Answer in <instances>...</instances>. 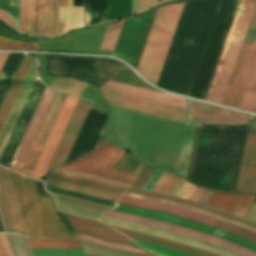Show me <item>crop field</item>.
Segmentation results:
<instances>
[{"label":"crop field","mask_w":256,"mask_h":256,"mask_svg":"<svg viewBox=\"0 0 256 256\" xmlns=\"http://www.w3.org/2000/svg\"><path fill=\"white\" fill-rule=\"evenodd\" d=\"M116 202L178 215L193 221H197L209 226H213V227H215V225L218 223V220H215L206 216H202V215H199L178 207L170 206V205L141 201V200L131 199L123 196H121ZM216 228L229 231L231 233L246 237L256 242V234L246 229H243L241 227L233 226V225L219 221V223L216 225Z\"/></svg>","instance_id":"crop-field-11"},{"label":"crop field","mask_w":256,"mask_h":256,"mask_svg":"<svg viewBox=\"0 0 256 256\" xmlns=\"http://www.w3.org/2000/svg\"><path fill=\"white\" fill-rule=\"evenodd\" d=\"M66 95V93L58 90L56 91L50 107L46 113V116L42 122V125L39 129V132L24 163V166L20 172L21 174L29 177L31 176Z\"/></svg>","instance_id":"crop-field-14"},{"label":"crop field","mask_w":256,"mask_h":256,"mask_svg":"<svg viewBox=\"0 0 256 256\" xmlns=\"http://www.w3.org/2000/svg\"><path fill=\"white\" fill-rule=\"evenodd\" d=\"M213 190H209L207 189V191L205 192V194L202 196V198L199 200V203H203L205 204L206 201L210 198V196L213 194Z\"/></svg>","instance_id":"crop-field-44"},{"label":"crop field","mask_w":256,"mask_h":256,"mask_svg":"<svg viewBox=\"0 0 256 256\" xmlns=\"http://www.w3.org/2000/svg\"><path fill=\"white\" fill-rule=\"evenodd\" d=\"M83 26V7H73V0H60V35Z\"/></svg>","instance_id":"crop-field-23"},{"label":"crop field","mask_w":256,"mask_h":256,"mask_svg":"<svg viewBox=\"0 0 256 256\" xmlns=\"http://www.w3.org/2000/svg\"><path fill=\"white\" fill-rule=\"evenodd\" d=\"M113 228L120 231L121 233L125 234L126 236H128L130 238L157 244V245H161V246H165V247H169V248H173L178 251H181V252H184L187 254H191L194 256H216V255H213L210 253H206V252L191 248V247L183 245V244L163 240L160 238H156V237H152V236H148V235H144V234H140V233H136V232L120 229V228H115V227H113Z\"/></svg>","instance_id":"crop-field-25"},{"label":"crop field","mask_w":256,"mask_h":256,"mask_svg":"<svg viewBox=\"0 0 256 256\" xmlns=\"http://www.w3.org/2000/svg\"><path fill=\"white\" fill-rule=\"evenodd\" d=\"M129 153V152H128ZM127 152L121 157L109 173L110 176L131 180L140 162Z\"/></svg>","instance_id":"crop-field-27"},{"label":"crop field","mask_w":256,"mask_h":256,"mask_svg":"<svg viewBox=\"0 0 256 256\" xmlns=\"http://www.w3.org/2000/svg\"><path fill=\"white\" fill-rule=\"evenodd\" d=\"M255 6L256 0H240L205 100L222 103Z\"/></svg>","instance_id":"crop-field-6"},{"label":"crop field","mask_w":256,"mask_h":256,"mask_svg":"<svg viewBox=\"0 0 256 256\" xmlns=\"http://www.w3.org/2000/svg\"><path fill=\"white\" fill-rule=\"evenodd\" d=\"M0 251H1L3 256H7L5 251H4V249H3V247H2V245H1V243H0Z\"/></svg>","instance_id":"crop-field-47"},{"label":"crop field","mask_w":256,"mask_h":256,"mask_svg":"<svg viewBox=\"0 0 256 256\" xmlns=\"http://www.w3.org/2000/svg\"><path fill=\"white\" fill-rule=\"evenodd\" d=\"M255 197L256 195L242 193L234 208L232 209L231 214L245 218Z\"/></svg>","instance_id":"crop-field-36"},{"label":"crop field","mask_w":256,"mask_h":256,"mask_svg":"<svg viewBox=\"0 0 256 256\" xmlns=\"http://www.w3.org/2000/svg\"><path fill=\"white\" fill-rule=\"evenodd\" d=\"M0 256H2L1 253H0Z\"/></svg>","instance_id":"crop-field-48"},{"label":"crop field","mask_w":256,"mask_h":256,"mask_svg":"<svg viewBox=\"0 0 256 256\" xmlns=\"http://www.w3.org/2000/svg\"><path fill=\"white\" fill-rule=\"evenodd\" d=\"M155 168L144 166L133 187L143 189Z\"/></svg>","instance_id":"crop-field-39"},{"label":"crop field","mask_w":256,"mask_h":256,"mask_svg":"<svg viewBox=\"0 0 256 256\" xmlns=\"http://www.w3.org/2000/svg\"><path fill=\"white\" fill-rule=\"evenodd\" d=\"M126 191L131 192V193H135V194H141V195H146V196H150V197L167 199V200L179 202V203L189 205V206H192V207H195V208H198V209H202V210H205V211H208V212L220 215L222 217H225V218L237 221V222H241V223H244V224H247L249 226H252V227L256 228V224L251 223L247 220L228 215V214H226L224 212H221L219 210H215V209H212V208H209L207 206L200 205V204H197V203H194V202H191V201H187V200H183V199H179V198H175V197H170V196H165V195H160V194H155V193H150V192H146V191H140V190H136V189H132V188H129Z\"/></svg>","instance_id":"crop-field-26"},{"label":"crop field","mask_w":256,"mask_h":256,"mask_svg":"<svg viewBox=\"0 0 256 256\" xmlns=\"http://www.w3.org/2000/svg\"><path fill=\"white\" fill-rule=\"evenodd\" d=\"M124 20V19H123ZM123 20H121L120 22L116 23V24H109L101 49L103 51H109L112 52L114 45L116 43L120 28L122 26Z\"/></svg>","instance_id":"crop-field-33"},{"label":"crop field","mask_w":256,"mask_h":256,"mask_svg":"<svg viewBox=\"0 0 256 256\" xmlns=\"http://www.w3.org/2000/svg\"><path fill=\"white\" fill-rule=\"evenodd\" d=\"M56 171H62V172H68V173H73V174H79V175H82V176L92 177V178H96V179H99V180H103V181H106V182H109V183H112V184H116V185H119V186H123V187H126V188L131 187V186H129V185H125V184L113 182V181H110V180H106V179H103V178H99V177H95V176H91V175H87V174H83V173H79V172H75V171H71V170L57 169ZM56 171H52L51 173L67 175V176H71V177H75V178H80V179H86V180L98 182V183H101V184H104V185H107V186L116 187V188L122 189V190H124V191L126 190V188L119 187V186H116V185H112V184H109V183H106V182H102V181H99V180H96V179L87 178V177H82V176H77V175H72V174H66V173L56 172Z\"/></svg>","instance_id":"crop-field-37"},{"label":"crop field","mask_w":256,"mask_h":256,"mask_svg":"<svg viewBox=\"0 0 256 256\" xmlns=\"http://www.w3.org/2000/svg\"><path fill=\"white\" fill-rule=\"evenodd\" d=\"M36 68H37V62L34 60L30 68V71L25 79V82L19 92V95L14 103V106L9 114V117L4 125V128L0 134V159L7 145V142L10 138V135L13 131V128L16 124V121L19 117V114L22 110V107L25 103V100L28 96V93L31 89V86L34 82V79L37 75Z\"/></svg>","instance_id":"crop-field-20"},{"label":"crop field","mask_w":256,"mask_h":256,"mask_svg":"<svg viewBox=\"0 0 256 256\" xmlns=\"http://www.w3.org/2000/svg\"><path fill=\"white\" fill-rule=\"evenodd\" d=\"M124 153L125 151L114 145L108 144L103 140L102 144L96 150L61 168L80 171L133 185V182H126L107 176L112 167Z\"/></svg>","instance_id":"crop-field-8"},{"label":"crop field","mask_w":256,"mask_h":256,"mask_svg":"<svg viewBox=\"0 0 256 256\" xmlns=\"http://www.w3.org/2000/svg\"><path fill=\"white\" fill-rule=\"evenodd\" d=\"M44 181H45V184H47V185L61 187V188H65V189H69V190H73V191H77V192H81V193H85V194H89V195H93V196L113 200V201H115L117 199L116 196L107 195V194H104V193H101V192H98V191H94V190H91V189H87V188L77 187V186H73V185H69V184H65V183H60V182L49 181L47 179H45Z\"/></svg>","instance_id":"crop-field-35"},{"label":"crop field","mask_w":256,"mask_h":256,"mask_svg":"<svg viewBox=\"0 0 256 256\" xmlns=\"http://www.w3.org/2000/svg\"><path fill=\"white\" fill-rule=\"evenodd\" d=\"M76 236L83 237V240H87V241H91V242H95V243H99V244H103V245H107V246H111V247H115V248H120V249H125V250H130V251L137 252V251H135L136 248L125 247V246H121V245H117V244H110V243H106V242H103V241H100V240H97V239H94V238L86 237V236H83V235H79V234H76ZM138 253H141V252H138ZM142 254H146V255H149V256H158L156 254H153L151 252H146V251H144Z\"/></svg>","instance_id":"crop-field-40"},{"label":"crop field","mask_w":256,"mask_h":256,"mask_svg":"<svg viewBox=\"0 0 256 256\" xmlns=\"http://www.w3.org/2000/svg\"><path fill=\"white\" fill-rule=\"evenodd\" d=\"M29 239V238H28ZM31 248H79L82 249L77 240H39L29 239Z\"/></svg>","instance_id":"crop-field-31"},{"label":"crop field","mask_w":256,"mask_h":256,"mask_svg":"<svg viewBox=\"0 0 256 256\" xmlns=\"http://www.w3.org/2000/svg\"><path fill=\"white\" fill-rule=\"evenodd\" d=\"M184 3H172L157 10L136 69L153 84H156Z\"/></svg>","instance_id":"crop-field-5"},{"label":"crop field","mask_w":256,"mask_h":256,"mask_svg":"<svg viewBox=\"0 0 256 256\" xmlns=\"http://www.w3.org/2000/svg\"><path fill=\"white\" fill-rule=\"evenodd\" d=\"M222 0L185 3L157 86L189 93Z\"/></svg>","instance_id":"crop-field-1"},{"label":"crop field","mask_w":256,"mask_h":256,"mask_svg":"<svg viewBox=\"0 0 256 256\" xmlns=\"http://www.w3.org/2000/svg\"><path fill=\"white\" fill-rule=\"evenodd\" d=\"M55 91V89L45 87L38 105L34 111V114L30 120V123L21 140V143L17 149V152L13 158V161L9 167L10 169L18 173L20 172Z\"/></svg>","instance_id":"crop-field-13"},{"label":"crop field","mask_w":256,"mask_h":256,"mask_svg":"<svg viewBox=\"0 0 256 256\" xmlns=\"http://www.w3.org/2000/svg\"><path fill=\"white\" fill-rule=\"evenodd\" d=\"M99 88L108 105L186 121L187 104L174 102V99L187 101L185 98L112 80Z\"/></svg>","instance_id":"crop-field-3"},{"label":"crop field","mask_w":256,"mask_h":256,"mask_svg":"<svg viewBox=\"0 0 256 256\" xmlns=\"http://www.w3.org/2000/svg\"><path fill=\"white\" fill-rule=\"evenodd\" d=\"M154 10L125 18L112 56L135 67Z\"/></svg>","instance_id":"crop-field-7"},{"label":"crop field","mask_w":256,"mask_h":256,"mask_svg":"<svg viewBox=\"0 0 256 256\" xmlns=\"http://www.w3.org/2000/svg\"><path fill=\"white\" fill-rule=\"evenodd\" d=\"M67 225L76 233L94 237L97 239L128 245L142 249L134 244L132 241L127 239L122 234L112 230L111 228L95 221L75 217L73 215L59 213Z\"/></svg>","instance_id":"crop-field-18"},{"label":"crop field","mask_w":256,"mask_h":256,"mask_svg":"<svg viewBox=\"0 0 256 256\" xmlns=\"http://www.w3.org/2000/svg\"><path fill=\"white\" fill-rule=\"evenodd\" d=\"M0 20H2L6 25L10 26L12 29L16 31L12 18L3 11H0Z\"/></svg>","instance_id":"crop-field-42"},{"label":"crop field","mask_w":256,"mask_h":256,"mask_svg":"<svg viewBox=\"0 0 256 256\" xmlns=\"http://www.w3.org/2000/svg\"><path fill=\"white\" fill-rule=\"evenodd\" d=\"M37 36H59L58 0H37Z\"/></svg>","instance_id":"crop-field-22"},{"label":"crop field","mask_w":256,"mask_h":256,"mask_svg":"<svg viewBox=\"0 0 256 256\" xmlns=\"http://www.w3.org/2000/svg\"><path fill=\"white\" fill-rule=\"evenodd\" d=\"M195 189L196 187L186 182L184 186L181 188L178 197L189 200L190 196L192 195Z\"/></svg>","instance_id":"crop-field-41"},{"label":"crop field","mask_w":256,"mask_h":256,"mask_svg":"<svg viewBox=\"0 0 256 256\" xmlns=\"http://www.w3.org/2000/svg\"><path fill=\"white\" fill-rule=\"evenodd\" d=\"M0 50H37L40 51L37 43L18 42L0 36Z\"/></svg>","instance_id":"crop-field-34"},{"label":"crop field","mask_w":256,"mask_h":256,"mask_svg":"<svg viewBox=\"0 0 256 256\" xmlns=\"http://www.w3.org/2000/svg\"><path fill=\"white\" fill-rule=\"evenodd\" d=\"M0 198L11 231L28 236L9 180L7 170L2 167H0Z\"/></svg>","instance_id":"crop-field-19"},{"label":"crop field","mask_w":256,"mask_h":256,"mask_svg":"<svg viewBox=\"0 0 256 256\" xmlns=\"http://www.w3.org/2000/svg\"><path fill=\"white\" fill-rule=\"evenodd\" d=\"M91 105L79 99L46 173L64 165Z\"/></svg>","instance_id":"crop-field-12"},{"label":"crop field","mask_w":256,"mask_h":256,"mask_svg":"<svg viewBox=\"0 0 256 256\" xmlns=\"http://www.w3.org/2000/svg\"><path fill=\"white\" fill-rule=\"evenodd\" d=\"M110 209L116 210V211H121V212H126V213H131V214H135V215H140V216H144V217H149V218L161 220L164 222L181 225V226L191 228L194 230L206 232V233L230 240L232 242L238 243L240 245H243L247 248H250V249L256 251V243L253 241H250L246 238L228 233L226 231L212 228V227H209V226L197 223V222H193V221H190V220L178 217V216L161 213V212H156V211H152V210H147V209H142V208H137V207H132V206H127V205H122V204H118V203H115Z\"/></svg>","instance_id":"crop-field-10"},{"label":"crop field","mask_w":256,"mask_h":256,"mask_svg":"<svg viewBox=\"0 0 256 256\" xmlns=\"http://www.w3.org/2000/svg\"><path fill=\"white\" fill-rule=\"evenodd\" d=\"M104 215L113 217V218H117V219H121V220H125V221H129V222H134V223L162 229V230H166V231H170V232H175V233L191 236V237L203 240V241L214 243L220 247H223L225 249H228L230 251L236 252V253L244 255V256H256V252H254L250 249H247L245 247H242L238 244L229 242L227 240H224V239H221V238H218V237L206 234V233H202V232L190 230V229H187L184 227H180L177 225L168 224V223L160 222V221L149 219V218H144V217H140V216H135V215L111 211V210H108Z\"/></svg>","instance_id":"crop-field-9"},{"label":"crop field","mask_w":256,"mask_h":256,"mask_svg":"<svg viewBox=\"0 0 256 256\" xmlns=\"http://www.w3.org/2000/svg\"><path fill=\"white\" fill-rule=\"evenodd\" d=\"M179 181L180 178L164 172L153 191L171 195Z\"/></svg>","instance_id":"crop-field-32"},{"label":"crop field","mask_w":256,"mask_h":256,"mask_svg":"<svg viewBox=\"0 0 256 256\" xmlns=\"http://www.w3.org/2000/svg\"><path fill=\"white\" fill-rule=\"evenodd\" d=\"M8 54L0 53V70Z\"/></svg>","instance_id":"crop-field-45"},{"label":"crop field","mask_w":256,"mask_h":256,"mask_svg":"<svg viewBox=\"0 0 256 256\" xmlns=\"http://www.w3.org/2000/svg\"><path fill=\"white\" fill-rule=\"evenodd\" d=\"M78 99V97L72 95L67 96L55 122V125L51 131V134L47 140V143L43 149V152L39 158V161L35 167V170L31 176L32 178L38 179L43 176Z\"/></svg>","instance_id":"crop-field-17"},{"label":"crop field","mask_w":256,"mask_h":256,"mask_svg":"<svg viewBox=\"0 0 256 256\" xmlns=\"http://www.w3.org/2000/svg\"><path fill=\"white\" fill-rule=\"evenodd\" d=\"M123 196L178 206V207H181V208H184V209H187V210L199 213V214H203V215H206V216H209V217H212V218H215V219H218V220L230 223V224L241 226L243 228H246V229L251 230V231L256 233V229H254L252 227H249L247 225H244V224H241V223H237V222H234V221H231V220L219 217L217 215H214V214L202 211V210H198V209H195V208H192V207H188V206H185V205H182V204H178V203H175V202H171V201H167V200H161V199H155V198H150V197L141 196V195H135V194L127 193V192H124Z\"/></svg>","instance_id":"crop-field-29"},{"label":"crop field","mask_w":256,"mask_h":256,"mask_svg":"<svg viewBox=\"0 0 256 256\" xmlns=\"http://www.w3.org/2000/svg\"><path fill=\"white\" fill-rule=\"evenodd\" d=\"M251 115L191 101L189 121L203 124H235L245 125Z\"/></svg>","instance_id":"crop-field-15"},{"label":"crop field","mask_w":256,"mask_h":256,"mask_svg":"<svg viewBox=\"0 0 256 256\" xmlns=\"http://www.w3.org/2000/svg\"><path fill=\"white\" fill-rule=\"evenodd\" d=\"M33 60H34L33 58H29L26 56L21 67H20V70L14 80V83H13V85L8 93V96L2 106V109L0 111V131L3 127V124L9 114V111L15 101V98L21 88V85L28 73V70H29Z\"/></svg>","instance_id":"crop-field-24"},{"label":"crop field","mask_w":256,"mask_h":256,"mask_svg":"<svg viewBox=\"0 0 256 256\" xmlns=\"http://www.w3.org/2000/svg\"><path fill=\"white\" fill-rule=\"evenodd\" d=\"M142 167H143V164H140L139 167H138V169H137V171L135 172V174H134V176H133V178H132V181H135V179H136V177L138 176V174H139V172H140V170H141Z\"/></svg>","instance_id":"crop-field-46"},{"label":"crop field","mask_w":256,"mask_h":256,"mask_svg":"<svg viewBox=\"0 0 256 256\" xmlns=\"http://www.w3.org/2000/svg\"><path fill=\"white\" fill-rule=\"evenodd\" d=\"M134 241L137 242L140 246L148 250L154 251L162 256H188L186 254L174 251L169 248H165V247H161V246H157V245H153V244H149V243H145L137 240H134Z\"/></svg>","instance_id":"crop-field-38"},{"label":"crop field","mask_w":256,"mask_h":256,"mask_svg":"<svg viewBox=\"0 0 256 256\" xmlns=\"http://www.w3.org/2000/svg\"><path fill=\"white\" fill-rule=\"evenodd\" d=\"M240 194H231L215 191L206 205L230 213Z\"/></svg>","instance_id":"crop-field-30"},{"label":"crop field","mask_w":256,"mask_h":256,"mask_svg":"<svg viewBox=\"0 0 256 256\" xmlns=\"http://www.w3.org/2000/svg\"><path fill=\"white\" fill-rule=\"evenodd\" d=\"M205 191H206L205 188L198 187L194 192V194L192 195V197L190 198V200L198 202V200L201 198V196L204 194Z\"/></svg>","instance_id":"crop-field-43"},{"label":"crop field","mask_w":256,"mask_h":256,"mask_svg":"<svg viewBox=\"0 0 256 256\" xmlns=\"http://www.w3.org/2000/svg\"><path fill=\"white\" fill-rule=\"evenodd\" d=\"M12 186L31 238L76 239L62 222L52 198L37 197L32 180L8 170Z\"/></svg>","instance_id":"crop-field-2"},{"label":"crop field","mask_w":256,"mask_h":256,"mask_svg":"<svg viewBox=\"0 0 256 256\" xmlns=\"http://www.w3.org/2000/svg\"><path fill=\"white\" fill-rule=\"evenodd\" d=\"M47 179L49 180H54V181H60V182H65V183H69V184H73V185H77V186H83V187H87V188H91V189H95L104 193H108V194H112V195H116L119 196L121 193H123V191H119L107 186H103L94 182H90V181H86V180H80V179H74V178H70V177H66V176H62V175H55V174H50L48 175Z\"/></svg>","instance_id":"crop-field-28"},{"label":"crop field","mask_w":256,"mask_h":256,"mask_svg":"<svg viewBox=\"0 0 256 256\" xmlns=\"http://www.w3.org/2000/svg\"><path fill=\"white\" fill-rule=\"evenodd\" d=\"M249 129L256 130V121ZM235 192L256 193V131L248 130Z\"/></svg>","instance_id":"crop-field-16"},{"label":"crop field","mask_w":256,"mask_h":256,"mask_svg":"<svg viewBox=\"0 0 256 256\" xmlns=\"http://www.w3.org/2000/svg\"><path fill=\"white\" fill-rule=\"evenodd\" d=\"M222 104L256 113V9Z\"/></svg>","instance_id":"crop-field-4"},{"label":"crop field","mask_w":256,"mask_h":256,"mask_svg":"<svg viewBox=\"0 0 256 256\" xmlns=\"http://www.w3.org/2000/svg\"><path fill=\"white\" fill-rule=\"evenodd\" d=\"M0 7L6 9L17 23L20 31L21 12V32L35 35V0H0Z\"/></svg>","instance_id":"crop-field-21"}]
</instances>
